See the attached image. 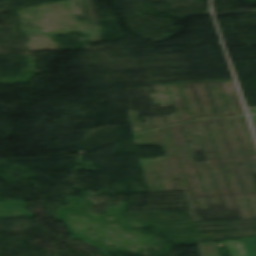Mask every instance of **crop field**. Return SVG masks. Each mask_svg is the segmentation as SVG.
Returning a JSON list of instances; mask_svg holds the SVG:
<instances>
[{
	"instance_id": "4",
	"label": "crop field",
	"mask_w": 256,
	"mask_h": 256,
	"mask_svg": "<svg viewBox=\"0 0 256 256\" xmlns=\"http://www.w3.org/2000/svg\"><path fill=\"white\" fill-rule=\"evenodd\" d=\"M251 117H252V120H253V123H254L255 129H256V116H251Z\"/></svg>"
},
{
	"instance_id": "1",
	"label": "crop field",
	"mask_w": 256,
	"mask_h": 256,
	"mask_svg": "<svg viewBox=\"0 0 256 256\" xmlns=\"http://www.w3.org/2000/svg\"><path fill=\"white\" fill-rule=\"evenodd\" d=\"M240 246V250L242 253V256H254L251 244L248 238L239 239L237 240ZM235 240L226 241V244L228 246L229 252L231 256H239L237 245ZM245 242H249L248 244ZM245 250H249V252H245Z\"/></svg>"
},
{
	"instance_id": "3",
	"label": "crop field",
	"mask_w": 256,
	"mask_h": 256,
	"mask_svg": "<svg viewBox=\"0 0 256 256\" xmlns=\"http://www.w3.org/2000/svg\"><path fill=\"white\" fill-rule=\"evenodd\" d=\"M254 254L256 256V237L250 238Z\"/></svg>"
},
{
	"instance_id": "2",
	"label": "crop field",
	"mask_w": 256,
	"mask_h": 256,
	"mask_svg": "<svg viewBox=\"0 0 256 256\" xmlns=\"http://www.w3.org/2000/svg\"><path fill=\"white\" fill-rule=\"evenodd\" d=\"M222 242H225V241H222ZM198 246H199L201 256H220L216 242L198 244Z\"/></svg>"
},
{
	"instance_id": "5",
	"label": "crop field",
	"mask_w": 256,
	"mask_h": 256,
	"mask_svg": "<svg viewBox=\"0 0 256 256\" xmlns=\"http://www.w3.org/2000/svg\"><path fill=\"white\" fill-rule=\"evenodd\" d=\"M249 113H256V109L248 110Z\"/></svg>"
}]
</instances>
